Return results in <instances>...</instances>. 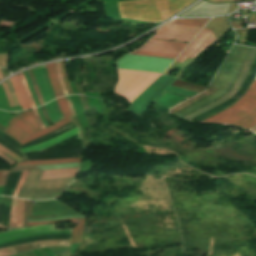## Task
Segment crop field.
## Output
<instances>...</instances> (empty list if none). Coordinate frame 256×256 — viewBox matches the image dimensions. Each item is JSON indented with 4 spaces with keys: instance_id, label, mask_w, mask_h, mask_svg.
Returning <instances> with one entry per match:
<instances>
[{
    "instance_id": "8a807250",
    "label": "crop field",
    "mask_w": 256,
    "mask_h": 256,
    "mask_svg": "<svg viewBox=\"0 0 256 256\" xmlns=\"http://www.w3.org/2000/svg\"><path fill=\"white\" fill-rule=\"evenodd\" d=\"M210 19L211 18L173 20L161 27L152 38L189 42ZM185 46L186 44L183 43L150 39L146 44L130 54L175 59Z\"/></svg>"
},
{
    "instance_id": "ac0d7876",
    "label": "crop field",
    "mask_w": 256,
    "mask_h": 256,
    "mask_svg": "<svg viewBox=\"0 0 256 256\" xmlns=\"http://www.w3.org/2000/svg\"><path fill=\"white\" fill-rule=\"evenodd\" d=\"M251 48L240 47L233 45L230 53L228 54L226 60L216 73L211 86L219 88L214 94L209 97L175 113L179 117H182L216 99L225 94L236 81L242 66L247 58Z\"/></svg>"
},
{
    "instance_id": "34b2d1b8",
    "label": "crop field",
    "mask_w": 256,
    "mask_h": 256,
    "mask_svg": "<svg viewBox=\"0 0 256 256\" xmlns=\"http://www.w3.org/2000/svg\"><path fill=\"white\" fill-rule=\"evenodd\" d=\"M195 0H131L117 2L120 16L156 22L164 20Z\"/></svg>"
},
{
    "instance_id": "412701ff",
    "label": "crop field",
    "mask_w": 256,
    "mask_h": 256,
    "mask_svg": "<svg viewBox=\"0 0 256 256\" xmlns=\"http://www.w3.org/2000/svg\"><path fill=\"white\" fill-rule=\"evenodd\" d=\"M119 81L116 92L125 96L129 103L161 74L118 69Z\"/></svg>"
},
{
    "instance_id": "f4fd0767",
    "label": "crop field",
    "mask_w": 256,
    "mask_h": 256,
    "mask_svg": "<svg viewBox=\"0 0 256 256\" xmlns=\"http://www.w3.org/2000/svg\"><path fill=\"white\" fill-rule=\"evenodd\" d=\"M175 79L161 75L153 82L135 101L131 103L128 111L140 114L163 91L190 97L198 93L169 86Z\"/></svg>"
},
{
    "instance_id": "dd49c442",
    "label": "crop field",
    "mask_w": 256,
    "mask_h": 256,
    "mask_svg": "<svg viewBox=\"0 0 256 256\" xmlns=\"http://www.w3.org/2000/svg\"><path fill=\"white\" fill-rule=\"evenodd\" d=\"M254 109H256V81H254L249 91L234 105L203 122L232 124L250 114Z\"/></svg>"
},
{
    "instance_id": "e52e79f7",
    "label": "crop field",
    "mask_w": 256,
    "mask_h": 256,
    "mask_svg": "<svg viewBox=\"0 0 256 256\" xmlns=\"http://www.w3.org/2000/svg\"><path fill=\"white\" fill-rule=\"evenodd\" d=\"M43 170L30 171L22 191L18 198L30 199L32 195L49 194V193H60L72 182L73 178H63L54 180L39 181V178ZM41 189H49L42 191H34Z\"/></svg>"
},
{
    "instance_id": "d8731c3e",
    "label": "crop field",
    "mask_w": 256,
    "mask_h": 256,
    "mask_svg": "<svg viewBox=\"0 0 256 256\" xmlns=\"http://www.w3.org/2000/svg\"><path fill=\"white\" fill-rule=\"evenodd\" d=\"M172 61L173 60L170 59L125 55L117 61V67L163 73Z\"/></svg>"
},
{
    "instance_id": "5a996713",
    "label": "crop field",
    "mask_w": 256,
    "mask_h": 256,
    "mask_svg": "<svg viewBox=\"0 0 256 256\" xmlns=\"http://www.w3.org/2000/svg\"><path fill=\"white\" fill-rule=\"evenodd\" d=\"M58 105H59V108L62 112V115L64 117V119H62L61 121L59 122H56L54 123L53 125H51L50 127L46 128V129H43L37 133H35L33 130L30 129V127L25 124L24 122H22L21 120H19L18 118L14 117L9 123L15 125L16 127L20 128L21 130H23L24 132H26L27 134H29L30 136L25 138L24 140L20 141V144L23 145L35 138H38L44 134H47L55 129H57L58 127L70 122L69 118L67 116H70V111H69V108H68V105L65 101V98L64 97H61L59 99L56 100Z\"/></svg>"
},
{
    "instance_id": "3316defc",
    "label": "crop field",
    "mask_w": 256,
    "mask_h": 256,
    "mask_svg": "<svg viewBox=\"0 0 256 256\" xmlns=\"http://www.w3.org/2000/svg\"><path fill=\"white\" fill-rule=\"evenodd\" d=\"M216 39L213 32L208 28L204 27L202 31L194 38V40L186 47V49L179 55L176 61L181 63L189 57L195 59L198 54L213 43Z\"/></svg>"
},
{
    "instance_id": "28ad6ade",
    "label": "crop field",
    "mask_w": 256,
    "mask_h": 256,
    "mask_svg": "<svg viewBox=\"0 0 256 256\" xmlns=\"http://www.w3.org/2000/svg\"><path fill=\"white\" fill-rule=\"evenodd\" d=\"M255 55H256V49L252 48L244 66H243V69H242V71H241V73H240V75L237 79V81L235 82L234 86L231 88V90L227 94H225L218 101H216V102H214V103H212V104H210V105H208V106H206V107H204V108H202V109L184 117L183 119L189 120V119H191V118H193V117H195V116H197V115H199V114H201V113H203V112H205V111L223 103L225 100H227L229 97H231L240 88L241 84L243 83V81H244V79H245V77H246V75L249 71V68H250V66H251V64L254 60Z\"/></svg>"
},
{
    "instance_id": "d1516ede",
    "label": "crop field",
    "mask_w": 256,
    "mask_h": 256,
    "mask_svg": "<svg viewBox=\"0 0 256 256\" xmlns=\"http://www.w3.org/2000/svg\"><path fill=\"white\" fill-rule=\"evenodd\" d=\"M52 225H54V224L26 227V228H21V229H17V230L7 231V232H0V236L13 234V233H18V232H23V231L32 230V229H37V228H42V227H47V226H52ZM52 228H54V226L47 227V228H42V229H37V230H32V231H27V232L18 233V234H13V235H8V236H3V237H0V239L1 238H6V237H11V236H16V235H21V234H27V233L47 230V229H52ZM71 232H72V229H64V230L52 229V230H47V231H42V232H37V233H32V234H27V235H21V236L1 239L0 244L10 242V241H14V240H18V239L25 238V237H29V236L40 235V234H57V233H71Z\"/></svg>"
},
{
    "instance_id": "22f410ed",
    "label": "crop field",
    "mask_w": 256,
    "mask_h": 256,
    "mask_svg": "<svg viewBox=\"0 0 256 256\" xmlns=\"http://www.w3.org/2000/svg\"><path fill=\"white\" fill-rule=\"evenodd\" d=\"M31 70L33 72L35 81L40 90L44 104L55 99L53 92H52V86L48 79L45 65L41 66V69L39 67H37V68H32Z\"/></svg>"
},
{
    "instance_id": "cbeb9de0",
    "label": "crop field",
    "mask_w": 256,
    "mask_h": 256,
    "mask_svg": "<svg viewBox=\"0 0 256 256\" xmlns=\"http://www.w3.org/2000/svg\"><path fill=\"white\" fill-rule=\"evenodd\" d=\"M71 240H47L41 242H33L22 244L14 247H10L14 254L26 252L39 247H47V246H70Z\"/></svg>"
},
{
    "instance_id": "5142ce71",
    "label": "crop field",
    "mask_w": 256,
    "mask_h": 256,
    "mask_svg": "<svg viewBox=\"0 0 256 256\" xmlns=\"http://www.w3.org/2000/svg\"><path fill=\"white\" fill-rule=\"evenodd\" d=\"M79 132H81V131L79 130L78 127H76V128H74V129H72L70 131H67L64 134H62V135H60V136H58L56 138H53V139H51V140H49V141H47L45 143H41V144L34 145V146H31V147H28V148H25V149H21L20 151L22 153H24V152H28V151H34V150H43V149H45V148H47V147H49V146H51V145L61 141V140H64V139H66L68 137H71V136H73V135H75V134H77Z\"/></svg>"
},
{
    "instance_id": "d9b57169",
    "label": "crop field",
    "mask_w": 256,
    "mask_h": 256,
    "mask_svg": "<svg viewBox=\"0 0 256 256\" xmlns=\"http://www.w3.org/2000/svg\"><path fill=\"white\" fill-rule=\"evenodd\" d=\"M10 80H11L12 86L15 90V93L17 95V98H18V100L21 104V107L23 109L30 108L31 106L28 102V98L26 96V93H25L22 85H21V82H20V79H19L18 75L10 78Z\"/></svg>"
},
{
    "instance_id": "733c2abd",
    "label": "crop field",
    "mask_w": 256,
    "mask_h": 256,
    "mask_svg": "<svg viewBox=\"0 0 256 256\" xmlns=\"http://www.w3.org/2000/svg\"><path fill=\"white\" fill-rule=\"evenodd\" d=\"M78 168L44 170L41 180L75 176Z\"/></svg>"
},
{
    "instance_id": "4a817a6b",
    "label": "crop field",
    "mask_w": 256,
    "mask_h": 256,
    "mask_svg": "<svg viewBox=\"0 0 256 256\" xmlns=\"http://www.w3.org/2000/svg\"><path fill=\"white\" fill-rule=\"evenodd\" d=\"M186 99V97L170 94L164 92L160 97H158L154 103L160 104L165 107H172L174 104Z\"/></svg>"
},
{
    "instance_id": "bc2a9ffb",
    "label": "crop field",
    "mask_w": 256,
    "mask_h": 256,
    "mask_svg": "<svg viewBox=\"0 0 256 256\" xmlns=\"http://www.w3.org/2000/svg\"><path fill=\"white\" fill-rule=\"evenodd\" d=\"M49 79L51 81V84L53 86V92L55 94V97L63 96V91L60 87V84L58 82L57 73L55 69L54 63L46 65Z\"/></svg>"
},
{
    "instance_id": "214f88e0",
    "label": "crop field",
    "mask_w": 256,
    "mask_h": 256,
    "mask_svg": "<svg viewBox=\"0 0 256 256\" xmlns=\"http://www.w3.org/2000/svg\"><path fill=\"white\" fill-rule=\"evenodd\" d=\"M72 220H80V224L76 228L73 229L72 242L71 243L80 242L81 231H82V226H83L84 219H62V220H57V221H52V222H42V223L27 222V226L58 223V222H65V221H72Z\"/></svg>"
},
{
    "instance_id": "92a150f3",
    "label": "crop field",
    "mask_w": 256,
    "mask_h": 256,
    "mask_svg": "<svg viewBox=\"0 0 256 256\" xmlns=\"http://www.w3.org/2000/svg\"><path fill=\"white\" fill-rule=\"evenodd\" d=\"M0 131L10 135L12 138L16 139V140H21L29 135H27L26 133H24L23 131H21L20 129L12 126L9 124V126L6 128L2 125H0Z\"/></svg>"
},
{
    "instance_id": "dafd665d",
    "label": "crop field",
    "mask_w": 256,
    "mask_h": 256,
    "mask_svg": "<svg viewBox=\"0 0 256 256\" xmlns=\"http://www.w3.org/2000/svg\"><path fill=\"white\" fill-rule=\"evenodd\" d=\"M45 108L53 123L63 118L55 100L45 105Z\"/></svg>"
},
{
    "instance_id": "00972430",
    "label": "crop field",
    "mask_w": 256,
    "mask_h": 256,
    "mask_svg": "<svg viewBox=\"0 0 256 256\" xmlns=\"http://www.w3.org/2000/svg\"><path fill=\"white\" fill-rule=\"evenodd\" d=\"M18 118L27 122L35 132L40 130V127H39L32 111H25L24 113L19 115Z\"/></svg>"
},
{
    "instance_id": "a9b5d70f",
    "label": "crop field",
    "mask_w": 256,
    "mask_h": 256,
    "mask_svg": "<svg viewBox=\"0 0 256 256\" xmlns=\"http://www.w3.org/2000/svg\"><path fill=\"white\" fill-rule=\"evenodd\" d=\"M70 162H80V158L30 161V162L18 163L17 165H24V164H56V163H70Z\"/></svg>"
},
{
    "instance_id": "4177f3b9",
    "label": "crop field",
    "mask_w": 256,
    "mask_h": 256,
    "mask_svg": "<svg viewBox=\"0 0 256 256\" xmlns=\"http://www.w3.org/2000/svg\"><path fill=\"white\" fill-rule=\"evenodd\" d=\"M255 124H256V110H254L250 115H248L243 120L235 123V125H238L247 129L251 128Z\"/></svg>"
},
{
    "instance_id": "730fd06b",
    "label": "crop field",
    "mask_w": 256,
    "mask_h": 256,
    "mask_svg": "<svg viewBox=\"0 0 256 256\" xmlns=\"http://www.w3.org/2000/svg\"><path fill=\"white\" fill-rule=\"evenodd\" d=\"M16 210H17V199L12 198V207L9 227L16 228Z\"/></svg>"
},
{
    "instance_id": "eef30255",
    "label": "crop field",
    "mask_w": 256,
    "mask_h": 256,
    "mask_svg": "<svg viewBox=\"0 0 256 256\" xmlns=\"http://www.w3.org/2000/svg\"><path fill=\"white\" fill-rule=\"evenodd\" d=\"M23 206H24V200H19L18 211H17V228L22 227Z\"/></svg>"
},
{
    "instance_id": "ae1a2a85",
    "label": "crop field",
    "mask_w": 256,
    "mask_h": 256,
    "mask_svg": "<svg viewBox=\"0 0 256 256\" xmlns=\"http://www.w3.org/2000/svg\"><path fill=\"white\" fill-rule=\"evenodd\" d=\"M60 66H61V72H62L65 87H66L69 94H73L71 89H70L69 81H68V78H67V75H66L64 61L60 62Z\"/></svg>"
},
{
    "instance_id": "d3111659",
    "label": "crop field",
    "mask_w": 256,
    "mask_h": 256,
    "mask_svg": "<svg viewBox=\"0 0 256 256\" xmlns=\"http://www.w3.org/2000/svg\"><path fill=\"white\" fill-rule=\"evenodd\" d=\"M28 172H29V171H23V172H22V175H21V177H20V180H19V182H18V184H17V186H16V189H15L13 195H12L13 197H16V198H17V196H18V194H19V191H20V188H21V186H22V184H23V182H24V180H25V178H26Z\"/></svg>"
},
{
    "instance_id": "750c4746",
    "label": "crop field",
    "mask_w": 256,
    "mask_h": 256,
    "mask_svg": "<svg viewBox=\"0 0 256 256\" xmlns=\"http://www.w3.org/2000/svg\"><path fill=\"white\" fill-rule=\"evenodd\" d=\"M31 207H32V201L26 200L25 207H24V220H23L24 227L26 226L27 215H31Z\"/></svg>"
},
{
    "instance_id": "bd1437ed",
    "label": "crop field",
    "mask_w": 256,
    "mask_h": 256,
    "mask_svg": "<svg viewBox=\"0 0 256 256\" xmlns=\"http://www.w3.org/2000/svg\"><path fill=\"white\" fill-rule=\"evenodd\" d=\"M19 76H20V78H21L23 87H24V89H25V91H26V93H27V96H28V98H29V101H30L31 106H32V107H35V106H34V103H33V99H32L31 94H30V92H29V89H28V87H27L26 80H25V77H24L23 73H20Z\"/></svg>"
},
{
    "instance_id": "1d83c4d3",
    "label": "crop field",
    "mask_w": 256,
    "mask_h": 256,
    "mask_svg": "<svg viewBox=\"0 0 256 256\" xmlns=\"http://www.w3.org/2000/svg\"><path fill=\"white\" fill-rule=\"evenodd\" d=\"M24 75H25V77H26V80H27V83H28V87H29V89H30V92H31V94H32V96H33V98H34L35 106L37 107V106H39L38 100H37V97H36V95H35V92H34V90H33V88H32L31 81H30V79H29L28 74H27L26 71H24Z\"/></svg>"
},
{
    "instance_id": "120bbe31",
    "label": "crop field",
    "mask_w": 256,
    "mask_h": 256,
    "mask_svg": "<svg viewBox=\"0 0 256 256\" xmlns=\"http://www.w3.org/2000/svg\"><path fill=\"white\" fill-rule=\"evenodd\" d=\"M0 150L5 153L7 156L11 157L13 160H15L16 162L21 160L18 156H16L14 153H12L10 150H8L7 148H5L4 146H2L0 144Z\"/></svg>"
},
{
    "instance_id": "d32e631a",
    "label": "crop field",
    "mask_w": 256,
    "mask_h": 256,
    "mask_svg": "<svg viewBox=\"0 0 256 256\" xmlns=\"http://www.w3.org/2000/svg\"><path fill=\"white\" fill-rule=\"evenodd\" d=\"M2 85H3V88H4V90H5L6 96H7V98H8L10 107L15 106V105H14V102H13V100H12V97H11V95H10V93H9V90H8V87H7L6 83L3 82Z\"/></svg>"
},
{
    "instance_id": "5866460e",
    "label": "crop field",
    "mask_w": 256,
    "mask_h": 256,
    "mask_svg": "<svg viewBox=\"0 0 256 256\" xmlns=\"http://www.w3.org/2000/svg\"><path fill=\"white\" fill-rule=\"evenodd\" d=\"M56 64V68H57V73H58V78H59V82L62 86V89L64 91V94L67 95V92L65 90L64 84H63V80H62V76H61V72H60V66H59V62L55 63Z\"/></svg>"
},
{
    "instance_id": "028f5c9d",
    "label": "crop field",
    "mask_w": 256,
    "mask_h": 256,
    "mask_svg": "<svg viewBox=\"0 0 256 256\" xmlns=\"http://www.w3.org/2000/svg\"><path fill=\"white\" fill-rule=\"evenodd\" d=\"M6 82H7V85H8V87H9L11 93H12V96H13V99H14V102H15V105L18 106L19 103H18L17 98H16V96H15L14 90H13V88H12V86H11L10 80L8 79V80H6Z\"/></svg>"
},
{
    "instance_id": "e1f06a70",
    "label": "crop field",
    "mask_w": 256,
    "mask_h": 256,
    "mask_svg": "<svg viewBox=\"0 0 256 256\" xmlns=\"http://www.w3.org/2000/svg\"><path fill=\"white\" fill-rule=\"evenodd\" d=\"M0 158L3 159L4 161H6L7 163L14 164L16 163L15 161H13L12 159H10L9 157H7L5 154H3L2 152H0Z\"/></svg>"
},
{
    "instance_id": "0bd39190",
    "label": "crop field",
    "mask_w": 256,
    "mask_h": 256,
    "mask_svg": "<svg viewBox=\"0 0 256 256\" xmlns=\"http://www.w3.org/2000/svg\"><path fill=\"white\" fill-rule=\"evenodd\" d=\"M13 253L9 248L0 249V256H8L12 255Z\"/></svg>"
},
{
    "instance_id": "b80d0937",
    "label": "crop field",
    "mask_w": 256,
    "mask_h": 256,
    "mask_svg": "<svg viewBox=\"0 0 256 256\" xmlns=\"http://www.w3.org/2000/svg\"><path fill=\"white\" fill-rule=\"evenodd\" d=\"M63 218H85L84 216H73V217H63ZM56 219H62V218H52V219H45V220H28V221H51Z\"/></svg>"
},
{
    "instance_id": "c035e120",
    "label": "crop field",
    "mask_w": 256,
    "mask_h": 256,
    "mask_svg": "<svg viewBox=\"0 0 256 256\" xmlns=\"http://www.w3.org/2000/svg\"><path fill=\"white\" fill-rule=\"evenodd\" d=\"M33 111H34V115H35V117H36V119H37V121H38V123H39L41 129L45 128V127L43 126V124H42V122H41V120H40V117H39V115H38V113H37V111H36L35 108H33Z\"/></svg>"
},
{
    "instance_id": "c21b1889",
    "label": "crop field",
    "mask_w": 256,
    "mask_h": 256,
    "mask_svg": "<svg viewBox=\"0 0 256 256\" xmlns=\"http://www.w3.org/2000/svg\"><path fill=\"white\" fill-rule=\"evenodd\" d=\"M7 174H8V171H3L2 172V176H1V180H0V186L4 185Z\"/></svg>"
},
{
    "instance_id": "03da06ac",
    "label": "crop field",
    "mask_w": 256,
    "mask_h": 256,
    "mask_svg": "<svg viewBox=\"0 0 256 256\" xmlns=\"http://www.w3.org/2000/svg\"><path fill=\"white\" fill-rule=\"evenodd\" d=\"M37 110H38V112H39V115H40V117H41V120H42L43 124L45 125V127H48V124H47V122H46V120H45V118H44V116H43V114H42V112H41L40 107H38Z\"/></svg>"
},
{
    "instance_id": "b54c1fbb",
    "label": "crop field",
    "mask_w": 256,
    "mask_h": 256,
    "mask_svg": "<svg viewBox=\"0 0 256 256\" xmlns=\"http://www.w3.org/2000/svg\"><path fill=\"white\" fill-rule=\"evenodd\" d=\"M232 27L241 28V21L230 22Z\"/></svg>"
},
{
    "instance_id": "5d738f31",
    "label": "crop field",
    "mask_w": 256,
    "mask_h": 256,
    "mask_svg": "<svg viewBox=\"0 0 256 256\" xmlns=\"http://www.w3.org/2000/svg\"><path fill=\"white\" fill-rule=\"evenodd\" d=\"M34 89H35V92L37 94L38 100H39L40 104L42 105L43 104L42 99H41L40 93H39L38 88H37L36 85H35Z\"/></svg>"
},
{
    "instance_id": "d23c7cc5",
    "label": "crop field",
    "mask_w": 256,
    "mask_h": 256,
    "mask_svg": "<svg viewBox=\"0 0 256 256\" xmlns=\"http://www.w3.org/2000/svg\"><path fill=\"white\" fill-rule=\"evenodd\" d=\"M66 100H67V103H68V105H69V108H70L71 112H72V113H75V112H74V109H73V107H72V104H71V102H70V99H69L68 96H66Z\"/></svg>"
},
{
    "instance_id": "425ffa30",
    "label": "crop field",
    "mask_w": 256,
    "mask_h": 256,
    "mask_svg": "<svg viewBox=\"0 0 256 256\" xmlns=\"http://www.w3.org/2000/svg\"><path fill=\"white\" fill-rule=\"evenodd\" d=\"M96 100H97V102H98V104H99V106H100L101 112H105L104 109H103V107H102L101 101L98 100V99H96Z\"/></svg>"
},
{
    "instance_id": "25e5ab78",
    "label": "crop field",
    "mask_w": 256,
    "mask_h": 256,
    "mask_svg": "<svg viewBox=\"0 0 256 256\" xmlns=\"http://www.w3.org/2000/svg\"><path fill=\"white\" fill-rule=\"evenodd\" d=\"M251 131H253L254 133H256V126L252 127L251 129H249Z\"/></svg>"
},
{
    "instance_id": "73cf0c24",
    "label": "crop field",
    "mask_w": 256,
    "mask_h": 256,
    "mask_svg": "<svg viewBox=\"0 0 256 256\" xmlns=\"http://www.w3.org/2000/svg\"><path fill=\"white\" fill-rule=\"evenodd\" d=\"M94 93H95V96H96V97L100 98L97 92H94Z\"/></svg>"
},
{
    "instance_id": "89e229c0",
    "label": "crop field",
    "mask_w": 256,
    "mask_h": 256,
    "mask_svg": "<svg viewBox=\"0 0 256 256\" xmlns=\"http://www.w3.org/2000/svg\"><path fill=\"white\" fill-rule=\"evenodd\" d=\"M1 79H3V76H2V74H1V72H0V80H1Z\"/></svg>"
},
{
    "instance_id": "1f2cbd36",
    "label": "crop field",
    "mask_w": 256,
    "mask_h": 256,
    "mask_svg": "<svg viewBox=\"0 0 256 256\" xmlns=\"http://www.w3.org/2000/svg\"><path fill=\"white\" fill-rule=\"evenodd\" d=\"M0 228H5V227H3V226H0ZM7 229V228H6Z\"/></svg>"
},
{
    "instance_id": "dbb93151",
    "label": "crop field",
    "mask_w": 256,
    "mask_h": 256,
    "mask_svg": "<svg viewBox=\"0 0 256 256\" xmlns=\"http://www.w3.org/2000/svg\"><path fill=\"white\" fill-rule=\"evenodd\" d=\"M1 172H2V171H0V176H1Z\"/></svg>"
}]
</instances>
